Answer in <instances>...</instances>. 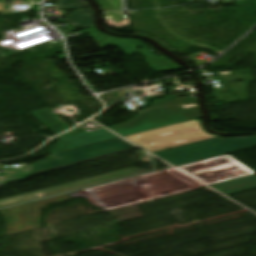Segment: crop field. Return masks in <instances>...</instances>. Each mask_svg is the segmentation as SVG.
Returning <instances> with one entry per match:
<instances>
[{
  "instance_id": "28ad6ade",
  "label": "crop field",
  "mask_w": 256,
  "mask_h": 256,
  "mask_svg": "<svg viewBox=\"0 0 256 256\" xmlns=\"http://www.w3.org/2000/svg\"><path fill=\"white\" fill-rule=\"evenodd\" d=\"M65 22L85 29L94 26V17L91 9L88 8L70 13V15L65 18Z\"/></svg>"
},
{
  "instance_id": "cbeb9de0",
  "label": "crop field",
  "mask_w": 256,
  "mask_h": 256,
  "mask_svg": "<svg viewBox=\"0 0 256 256\" xmlns=\"http://www.w3.org/2000/svg\"><path fill=\"white\" fill-rule=\"evenodd\" d=\"M35 2H39V0H35Z\"/></svg>"
},
{
  "instance_id": "d8731c3e",
  "label": "crop field",
  "mask_w": 256,
  "mask_h": 256,
  "mask_svg": "<svg viewBox=\"0 0 256 256\" xmlns=\"http://www.w3.org/2000/svg\"><path fill=\"white\" fill-rule=\"evenodd\" d=\"M58 138L59 141L49 154L70 150L118 137L103 128L97 129L93 132H85L79 128H76L59 136Z\"/></svg>"
},
{
  "instance_id": "8a807250",
  "label": "crop field",
  "mask_w": 256,
  "mask_h": 256,
  "mask_svg": "<svg viewBox=\"0 0 256 256\" xmlns=\"http://www.w3.org/2000/svg\"><path fill=\"white\" fill-rule=\"evenodd\" d=\"M191 94V93H186ZM185 95L176 94L154 102L151 108L143 110L139 115L126 123L113 126L110 130L125 136L181 121L201 117L195 98H171ZM196 104L197 108L183 109L180 105Z\"/></svg>"
},
{
  "instance_id": "d1516ede",
  "label": "crop field",
  "mask_w": 256,
  "mask_h": 256,
  "mask_svg": "<svg viewBox=\"0 0 256 256\" xmlns=\"http://www.w3.org/2000/svg\"><path fill=\"white\" fill-rule=\"evenodd\" d=\"M4 171L5 172L0 173V185L4 181L22 179L21 176L36 172L32 166L4 169Z\"/></svg>"
},
{
  "instance_id": "3316defc",
  "label": "crop field",
  "mask_w": 256,
  "mask_h": 256,
  "mask_svg": "<svg viewBox=\"0 0 256 256\" xmlns=\"http://www.w3.org/2000/svg\"><path fill=\"white\" fill-rule=\"evenodd\" d=\"M31 114L34 115L55 134H58L70 128L47 108L33 111L31 112Z\"/></svg>"
},
{
  "instance_id": "dd49c442",
  "label": "crop field",
  "mask_w": 256,
  "mask_h": 256,
  "mask_svg": "<svg viewBox=\"0 0 256 256\" xmlns=\"http://www.w3.org/2000/svg\"><path fill=\"white\" fill-rule=\"evenodd\" d=\"M90 36L93 37L95 42L102 49L105 48L107 45L116 46L121 49L126 55H130L138 51L146 58V61L149 63L150 67L156 72L181 69V67L171 62L167 58L154 55L145 48L146 45L136 40L117 39L103 35L99 31L90 33Z\"/></svg>"
},
{
  "instance_id": "5a996713",
  "label": "crop field",
  "mask_w": 256,
  "mask_h": 256,
  "mask_svg": "<svg viewBox=\"0 0 256 256\" xmlns=\"http://www.w3.org/2000/svg\"><path fill=\"white\" fill-rule=\"evenodd\" d=\"M212 187L218 189L219 191L230 195L250 189L256 188V176H248L216 185H212Z\"/></svg>"
},
{
  "instance_id": "f4fd0767",
  "label": "crop field",
  "mask_w": 256,
  "mask_h": 256,
  "mask_svg": "<svg viewBox=\"0 0 256 256\" xmlns=\"http://www.w3.org/2000/svg\"><path fill=\"white\" fill-rule=\"evenodd\" d=\"M145 172H149V171L140 170L138 168L132 167V168L112 172L109 174L89 178L86 180L66 184L63 186H59V187L31 193V194H26V195H22V196H17V197H13V198H9V199L0 200V209L9 207V206H13V205H17V204H21V203H25V202H29L32 200L60 194V193H64V192H68V191H72V190L108 182V181H113V180L129 177V176L145 173Z\"/></svg>"
},
{
  "instance_id": "22f410ed",
  "label": "crop field",
  "mask_w": 256,
  "mask_h": 256,
  "mask_svg": "<svg viewBox=\"0 0 256 256\" xmlns=\"http://www.w3.org/2000/svg\"><path fill=\"white\" fill-rule=\"evenodd\" d=\"M61 9H78L88 7V3L83 0H60L57 1Z\"/></svg>"
},
{
  "instance_id": "e52e79f7",
  "label": "crop field",
  "mask_w": 256,
  "mask_h": 256,
  "mask_svg": "<svg viewBox=\"0 0 256 256\" xmlns=\"http://www.w3.org/2000/svg\"><path fill=\"white\" fill-rule=\"evenodd\" d=\"M68 196H60L37 203L2 210L6 219L7 235L41 226L40 208L42 204L68 200Z\"/></svg>"
},
{
  "instance_id": "34b2d1b8",
  "label": "crop field",
  "mask_w": 256,
  "mask_h": 256,
  "mask_svg": "<svg viewBox=\"0 0 256 256\" xmlns=\"http://www.w3.org/2000/svg\"><path fill=\"white\" fill-rule=\"evenodd\" d=\"M256 146V137L213 139L159 153V158L175 165H182Z\"/></svg>"
},
{
  "instance_id": "412701ff",
  "label": "crop field",
  "mask_w": 256,
  "mask_h": 256,
  "mask_svg": "<svg viewBox=\"0 0 256 256\" xmlns=\"http://www.w3.org/2000/svg\"><path fill=\"white\" fill-rule=\"evenodd\" d=\"M131 148L135 147L127 143L126 141L118 138L70 151L52 154L51 156L54 157L56 160L34 165L33 167L37 172H39Z\"/></svg>"
},
{
  "instance_id": "ac0d7876",
  "label": "crop field",
  "mask_w": 256,
  "mask_h": 256,
  "mask_svg": "<svg viewBox=\"0 0 256 256\" xmlns=\"http://www.w3.org/2000/svg\"><path fill=\"white\" fill-rule=\"evenodd\" d=\"M125 137L154 152L216 136L206 133L198 118Z\"/></svg>"
}]
</instances>
